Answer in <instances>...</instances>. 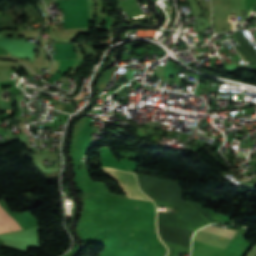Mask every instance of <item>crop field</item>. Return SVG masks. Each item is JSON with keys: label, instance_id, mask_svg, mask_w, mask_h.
<instances>
[{"label": "crop field", "instance_id": "crop-field-1", "mask_svg": "<svg viewBox=\"0 0 256 256\" xmlns=\"http://www.w3.org/2000/svg\"><path fill=\"white\" fill-rule=\"evenodd\" d=\"M103 171L115 179L121 190L128 198L149 200L138 188L134 174L109 167H102Z\"/></svg>", "mask_w": 256, "mask_h": 256}, {"label": "crop field", "instance_id": "crop-field-4", "mask_svg": "<svg viewBox=\"0 0 256 256\" xmlns=\"http://www.w3.org/2000/svg\"><path fill=\"white\" fill-rule=\"evenodd\" d=\"M246 256H256V246H253Z\"/></svg>", "mask_w": 256, "mask_h": 256}, {"label": "crop field", "instance_id": "crop-field-2", "mask_svg": "<svg viewBox=\"0 0 256 256\" xmlns=\"http://www.w3.org/2000/svg\"><path fill=\"white\" fill-rule=\"evenodd\" d=\"M20 227L21 225L0 204V233Z\"/></svg>", "mask_w": 256, "mask_h": 256}, {"label": "crop field", "instance_id": "crop-field-3", "mask_svg": "<svg viewBox=\"0 0 256 256\" xmlns=\"http://www.w3.org/2000/svg\"><path fill=\"white\" fill-rule=\"evenodd\" d=\"M202 231L214 233V234L224 236V237H227L230 239H232L236 233V231H233V230L219 229V228H215V227H211V226H207L206 228L202 229Z\"/></svg>", "mask_w": 256, "mask_h": 256}]
</instances>
